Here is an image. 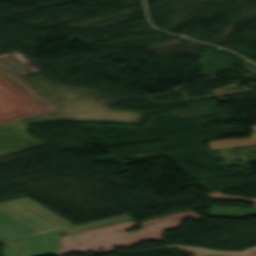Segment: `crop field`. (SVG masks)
Masks as SVG:
<instances>
[{
    "instance_id": "1",
    "label": "crop field",
    "mask_w": 256,
    "mask_h": 256,
    "mask_svg": "<svg viewBox=\"0 0 256 256\" xmlns=\"http://www.w3.org/2000/svg\"><path fill=\"white\" fill-rule=\"evenodd\" d=\"M253 130H256V126L251 127ZM256 143V132L252 133L251 138L248 139H226L219 141H211L208 146L210 149L214 148H222V147H230V146H239V145H247V144H255Z\"/></svg>"
}]
</instances>
